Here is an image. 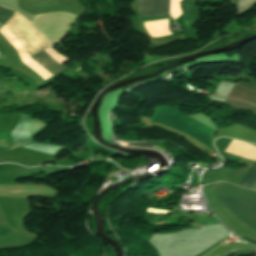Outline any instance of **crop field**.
I'll return each mask as SVG.
<instances>
[{"instance_id":"crop-field-6","label":"crop field","mask_w":256,"mask_h":256,"mask_svg":"<svg viewBox=\"0 0 256 256\" xmlns=\"http://www.w3.org/2000/svg\"><path fill=\"white\" fill-rule=\"evenodd\" d=\"M0 189L11 193L47 192L58 193V191L40 184H0Z\"/></svg>"},{"instance_id":"crop-field-5","label":"crop field","mask_w":256,"mask_h":256,"mask_svg":"<svg viewBox=\"0 0 256 256\" xmlns=\"http://www.w3.org/2000/svg\"><path fill=\"white\" fill-rule=\"evenodd\" d=\"M141 17L168 15L169 0H136Z\"/></svg>"},{"instance_id":"crop-field-8","label":"crop field","mask_w":256,"mask_h":256,"mask_svg":"<svg viewBox=\"0 0 256 256\" xmlns=\"http://www.w3.org/2000/svg\"><path fill=\"white\" fill-rule=\"evenodd\" d=\"M255 180H256V163L250 169V171L246 174V176L243 178V180L240 182L239 185L250 188Z\"/></svg>"},{"instance_id":"crop-field-7","label":"crop field","mask_w":256,"mask_h":256,"mask_svg":"<svg viewBox=\"0 0 256 256\" xmlns=\"http://www.w3.org/2000/svg\"><path fill=\"white\" fill-rule=\"evenodd\" d=\"M23 147L32 149V150H36V151H40V152H44V153H48V154H54V155H57L62 149L65 148V147H60V146L41 144V143H37V142H34L29 145H25Z\"/></svg>"},{"instance_id":"crop-field-9","label":"crop field","mask_w":256,"mask_h":256,"mask_svg":"<svg viewBox=\"0 0 256 256\" xmlns=\"http://www.w3.org/2000/svg\"><path fill=\"white\" fill-rule=\"evenodd\" d=\"M10 230H11V229H9V228H5V227H1V226H0V235L3 234V233L8 232V231H10Z\"/></svg>"},{"instance_id":"crop-field-4","label":"crop field","mask_w":256,"mask_h":256,"mask_svg":"<svg viewBox=\"0 0 256 256\" xmlns=\"http://www.w3.org/2000/svg\"><path fill=\"white\" fill-rule=\"evenodd\" d=\"M47 125L32 117L19 114V120L11 134L13 147L32 142L34 135L45 129ZM11 132H0V150L13 148L10 142Z\"/></svg>"},{"instance_id":"crop-field-10","label":"crop field","mask_w":256,"mask_h":256,"mask_svg":"<svg viewBox=\"0 0 256 256\" xmlns=\"http://www.w3.org/2000/svg\"><path fill=\"white\" fill-rule=\"evenodd\" d=\"M4 161H12V159H8V158H0V162H4Z\"/></svg>"},{"instance_id":"crop-field-3","label":"crop field","mask_w":256,"mask_h":256,"mask_svg":"<svg viewBox=\"0 0 256 256\" xmlns=\"http://www.w3.org/2000/svg\"><path fill=\"white\" fill-rule=\"evenodd\" d=\"M16 12L0 7V22L5 23L8 21ZM0 33L6 38V40L13 46V48L19 53L23 63H25L34 72L40 75L44 80L61 70L63 67L56 64L49 56L43 51L31 56L37 64L17 42V40L11 35V33L3 25L0 29Z\"/></svg>"},{"instance_id":"crop-field-2","label":"crop field","mask_w":256,"mask_h":256,"mask_svg":"<svg viewBox=\"0 0 256 256\" xmlns=\"http://www.w3.org/2000/svg\"><path fill=\"white\" fill-rule=\"evenodd\" d=\"M151 122L165 124L169 127L180 130L195 138L196 140L204 143L216 152L212 146V137L215 131L203 126L189 116L180 113L173 108H157L153 114Z\"/></svg>"},{"instance_id":"crop-field-1","label":"crop field","mask_w":256,"mask_h":256,"mask_svg":"<svg viewBox=\"0 0 256 256\" xmlns=\"http://www.w3.org/2000/svg\"><path fill=\"white\" fill-rule=\"evenodd\" d=\"M234 215L256 230V192L218 182L207 187Z\"/></svg>"}]
</instances>
